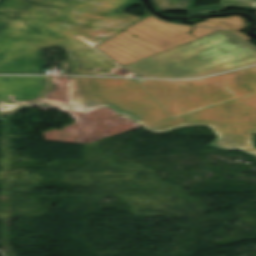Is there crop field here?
<instances>
[{
	"instance_id": "obj_8",
	"label": "crop field",
	"mask_w": 256,
	"mask_h": 256,
	"mask_svg": "<svg viewBox=\"0 0 256 256\" xmlns=\"http://www.w3.org/2000/svg\"><path fill=\"white\" fill-rule=\"evenodd\" d=\"M8 77L9 80H4ZM51 77L0 76V120L9 113L8 103L24 102L21 87H49Z\"/></svg>"
},
{
	"instance_id": "obj_13",
	"label": "crop field",
	"mask_w": 256,
	"mask_h": 256,
	"mask_svg": "<svg viewBox=\"0 0 256 256\" xmlns=\"http://www.w3.org/2000/svg\"><path fill=\"white\" fill-rule=\"evenodd\" d=\"M255 29H256V27H255Z\"/></svg>"
},
{
	"instance_id": "obj_3",
	"label": "crop field",
	"mask_w": 256,
	"mask_h": 256,
	"mask_svg": "<svg viewBox=\"0 0 256 256\" xmlns=\"http://www.w3.org/2000/svg\"><path fill=\"white\" fill-rule=\"evenodd\" d=\"M135 81L174 118L256 93V67L199 80Z\"/></svg>"
},
{
	"instance_id": "obj_4",
	"label": "crop field",
	"mask_w": 256,
	"mask_h": 256,
	"mask_svg": "<svg viewBox=\"0 0 256 256\" xmlns=\"http://www.w3.org/2000/svg\"><path fill=\"white\" fill-rule=\"evenodd\" d=\"M21 1L95 46L142 19L124 13L140 0Z\"/></svg>"
},
{
	"instance_id": "obj_7",
	"label": "crop field",
	"mask_w": 256,
	"mask_h": 256,
	"mask_svg": "<svg viewBox=\"0 0 256 256\" xmlns=\"http://www.w3.org/2000/svg\"><path fill=\"white\" fill-rule=\"evenodd\" d=\"M162 22L152 16L101 44L98 47L106 54L125 65L133 61L173 48L188 41L220 31L216 29L193 28ZM132 34L139 38L132 37Z\"/></svg>"
},
{
	"instance_id": "obj_12",
	"label": "crop field",
	"mask_w": 256,
	"mask_h": 256,
	"mask_svg": "<svg viewBox=\"0 0 256 256\" xmlns=\"http://www.w3.org/2000/svg\"><path fill=\"white\" fill-rule=\"evenodd\" d=\"M251 8L256 9V2L254 3V5Z\"/></svg>"
},
{
	"instance_id": "obj_1",
	"label": "crop field",
	"mask_w": 256,
	"mask_h": 256,
	"mask_svg": "<svg viewBox=\"0 0 256 256\" xmlns=\"http://www.w3.org/2000/svg\"><path fill=\"white\" fill-rule=\"evenodd\" d=\"M65 52L70 74L119 76L125 68L20 0L0 4V74H45L42 50Z\"/></svg>"
},
{
	"instance_id": "obj_11",
	"label": "crop field",
	"mask_w": 256,
	"mask_h": 256,
	"mask_svg": "<svg viewBox=\"0 0 256 256\" xmlns=\"http://www.w3.org/2000/svg\"><path fill=\"white\" fill-rule=\"evenodd\" d=\"M199 26L215 27L232 30L241 37L250 40L247 36L239 32L241 29L245 28V21L240 16H231L229 18H218V19H209L205 22L197 24Z\"/></svg>"
},
{
	"instance_id": "obj_2",
	"label": "crop field",
	"mask_w": 256,
	"mask_h": 256,
	"mask_svg": "<svg viewBox=\"0 0 256 256\" xmlns=\"http://www.w3.org/2000/svg\"><path fill=\"white\" fill-rule=\"evenodd\" d=\"M256 63V49L220 31L125 65L142 77L193 78Z\"/></svg>"
},
{
	"instance_id": "obj_6",
	"label": "crop field",
	"mask_w": 256,
	"mask_h": 256,
	"mask_svg": "<svg viewBox=\"0 0 256 256\" xmlns=\"http://www.w3.org/2000/svg\"><path fill=\"white\" fill-rule=\"evenodd\" d=\"M72 99L82 110L111 106L143 126L171 117L134 81L72 78Z\"/></svg>"
},
{
	"instance_id": "obj_9",
	"label": "crop field",
	"mask_w": 256,
	"mask_h": 256,
	"mask_svg": "<svg viewBox=\"0 0 256 256\" xmlns=\"http://www.w3.org/2000/svg\"><path fill=\"white\" fill-rule=\"evenodd\" d=\"M161 11H182L189 15L214 13L225 10L228 7L250 8L255 1L251 0H219L218 5L194 7L195 0H151Z\"/></svg>"
},
{
	"instance_id": "obj_5",
	"label": "crop field",
	"mask_w": 256,
	"mask_h": 256,
	"mask_svg": "<svg viewBox=\"0 0 256 256\" xmlns=\"http://www.w3.org/2000/svg\"><path fill=\"white\" fill-rule=\"evenodd\" d=\"M190 124H204L215 131L219 137L210 146L226 150L241 149L256 157L252 143V134L256 133V94L145 128L151 132H163Z\"/></svg>"
},
{
	"instance_id": "obj_10",
	"label": "crop field",
	"mask_w": 256,
	"mask_h": 256,
	"mask_svg": "<svg viewBox=\"0 0 256 256\" xmlns=\"http://www.w3.org/2000/svg\"><path fill=\"white\" fill-rule=\"evenodd\" d=\"M50 88H22L25 103L9 104L10 113L20 111L26 107L35 110H65V111H78L80 110L75 103L67 106H53L45 101V93Z\"/></svg>"
}]
</instances>
